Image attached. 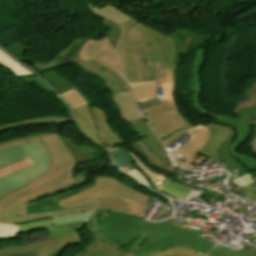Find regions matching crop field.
I'll return each mask as SVG.
<instances>
[{"mask_svg": "<svg viewBox=\"0 0 256 256\" xmlns=\"http://www.w3.org/2000/svg\"><path fill=\"white\" fill-rule=\"evenodd\" d=\"M174 220L150 223L135 215L96 210L99 234L118 246L136 239L128 251L135 256H144L176 245L189 246L206 254L215 245L199 237L205 232L189 229V225L178 226L173 223Z\"/></svg>", "mask_w": 256, "mask_h": 256, "instance_id": "obj_1", "label": "crop field"}, {"mask_svg": "<svg viewBox=\"0 0 256 256\" xmlns=\"http://www.w3.org/2000/svg\"><path fill=\"white\" fill-rule=\"evenodd\" d=\"M175 68L176 65L158 63L157 82L158 86L164 87V97L139 104L165 147L177 139L180 140L186 133L185 130L191 127L178 112L173 97Z\"/></svg>", "mask_w": 256, "mask_h": 256, "instance_id": "obj_2", "label": "crop field"}, {"mask_svg": "<svg viewBox=\"0 0 256 256\" xmlns=\"http://www.w3.org/2000/svg\"><path fill=\"white\" fill-rule=\"evenodd\" d=\"M29 158L34 164L0 178V198L6 193L27 185L45 173L50 155L41 141L29 142L0 150V169ZM46 167V168H44Z\"/></svg>", "mask_w": 256, "mask_h": 256, "instance_id": "obj_3", "label": "crop field"}, {"mask_svg": "<svg viewBox=\"0 0 256 256\" xmlns=\"http://www.w3.org/2000/svg\"><path fill=\"white\" fill-rule=\"evenodd\" d=\"M50 152L52 162L48 171L38 179L29 182L34 194L63 184L74 177L73 171L77 165L71 153L59 138L42 141Z\"/></svg>", "mask_w": 256, "mask_h": 256, "instance_id": "obj_4", "label": "crop field"}, {"mask_svg": "<svg viewBox=\"0 0 256 256\" xmlns=\"http://www.w3.org/2000/svg\"><path fill=\"white\" fill-rule=\"evenodd\" d=\"M104 196L130 198L146 204L148 196L137 192L115 178L106 176L95 177V185L87 190L78 192L71 197L57 201L58 206L71 208L96 202Z\"/></svg>", "mask_w": 256, "mask_h": 256, "instance_id": "obj_5", "label": "crop field"}, {"mask_svg": "<svg viewBox=\"0 0 256 256\" xmlns=\"http://www.w3.org/2000/svg\"><path fill=\"white\" fill-rule=\"evenodd\" d=\"M89 107L87 105L73 109L75 121L84 133L107 150L117 144L125 146L122 138L109 125L108 114L98 106L92 107L90 110Z\"/></svg>", "mask_w": 256, "mask_h": 256, "instance_id": "obj_6", "label": "crop field"}, {"mask_svg": "<svg viewBox=\"0 0 256 256\" xmlns=\"http://www.w3.org/2000/svg\"><path fill=\"white\" fill-rule=\"evenodd\" d=\"M107 167H115L112 163L109 164H105L102 166H98L95 168H92L86 172H83L81 174L76 175L73 179H71L70 181H68L67 183L63 184V185H58L56 187H53L51 189H48L46 191H43L41 193L36 194V196L31 197L29 199L23 200L21 202H19L18 204H16L15 206H13L11 209H9L8 211L2 213L8 217H18V216H23V215H30V214H36V213H42V212H48V211H54V210H60V209H66V208H61L58 207L57 204L55 203L54 199L60 200L62 198L68 197L78 191L84 190L92 185H94V183L92 185L86 186L84 188H80V189H76L74 191L65 193V194H61V195H57V196H53L50 197L42 202H35V199L40 198L41 196L44 195H48L51 193H55L61 190H65L68 189L72 186L78 185L80 183H83L86 179H87V174L91 171L94 170H103Z\"/></svg>", "mask_w": 256, "mask_h": 256, "instance_id": "obj_7", "label": "crop field"}, {"mask_svg": "<svg viewBox=\"0 0 256 256\" xmlns=\"http://www.w3.org/2000/svg\"><path fill=\"white\" fill-rule=\"evenodd\" d=\"M122 26V38L117 49L119 64L128 82L142 81L140 57L134 43L148 29L145 25L130 19Z\"/></svg>", "mask_w": 256, "mask_h": 256, "instance_id": "obj_8", "label": "crop field"}, {"mask_svg": "<svg viewBox=\"0 0 256 256\" xmlns=\"http://www.w3.org/2000/svg\"><path fill=\"white\" fill-rule=\"evenodd\" d=\"M54 225L86 220L91 228L95 242L77 253L75 256H106L119 247L105 237L98 234L95 229V204L86 207L70 209L66 211L51 213Z\"/></svg>", "mask_w": 256, "mask_h": 256, "instance_id": "obj_9", "label": "crop field"}, {"mask_svg": "<svg viewBox=\"0 0 256 256\" xmlns=\"http://www.w3.org/2000/svg\"><path fill=\"white\" fill-rule=\"evenodd\" d=\"M89 38H79L69 44L63 51L57 56L61 57V65L78 62L80 66L86 71L99 76L104 80L108 89L112 92H123L129 90L126 83L113 71L93 62H82L77 59V52L81 44Z\"/></svg>", "mask_w": 256, "mask_h": 256, "instance_id": "obj_10", "label": "crop field"}, {"mask_svg": "<svg viewBox=\"0 0 256 256\" xmlns=\"http://www.w3.org/2000/svg\"><path fill=\"white\" fill-rule=\"evenodd\" d=\"M130 123H132L134 128L139 133L142 141H139L137 143L147 155L142 152V150L136 145V143H133L132 145L148 159L149 163L159 168L168 163L169 159L166 157L162 147L160 146L153 132L150 130L146 121L140 118ZM162 162H164V164H162Z\"/></svg>", "mask_w": 256, "mask_h": 256, "instance_id": "obj_11", "label": "crop field"}, {"mask_svg": "<svg viewBox=\"0 0 256 256\" xmlns=\"http://www.w3.org/2000/svg\"><path fill=\"white\" fill-rule=\"evenodd\" d=\"M69 243H83L77 232L51 241L34 244L22 248L0 249V256L18 255L27 252H39L40 256H58Z\"/></svg>", "mask_w": 256, "mask_h": 256, "instance_id": "obj_12", "label": "crop field"}, {"mask_svg": "<svg viewBox=\"0 0 256 256\" xmlns=\"http://www.w3.org/2000/svg\"><path fill=\"white\" fill-rule=\"evenodd\" d=\"M140 39L149 51V60L171 64L174 48L171 38L150 27Z\"/></svg>", "mask_w": 256, "mask_h": 256, "instance_id": "obj_13", "label": "crop field"}, {"mask_svg": "<svg viewBox=\"0 0 256 256\" xmlns=\"http://www.w3.org/2000/svg\"><path fill=\"white\" fill-rule=\"evenodd\" d=\"M190 134V139L177 151L188 160L179 164V166L187 167L195 159L201 148L206 143L211 131L205 125L204 127L196 124L192 128L186 130Z\"/></svg>", "mask_w": 256, "mask_h": 256, "instance_id": "obj_14", "label": "crop field"}, {"mask_svg": "<svg viewBox=\"0 0 256 256\" xmlns=\"http://www.w3.org/2000/svg\"><path fill=\"white\" fill-rule=\"evenodd\" d=\"M113 50L114 48L109 43L106 36L105 39L91 45L88 49L87 55L89 56L90 60H93L113 70L124 80L114 59Z\"/></svg>", "mask_w": 256, "mask_h": 256, "instance_id": "obj_15", "label": "crop field"}, {"mask_svg": "<svg viewBox=\"0 0 256 256\" xmlns=\"http://www.w3.org/2000/svg\"><path fill=\"white\" fill-rule=\"evenodd\" d=\"M209 128L212 130V133L199 154L204 157H210L211 162L208 164L209 166L214 164L215 162L222 161L219 155L217 154V146L225 139H227L228 135L232 131L230 128L208 124Z\"/></svg>", "mask_w": 256, "mask_h": 256, "instance_id": "obj_16", "label": "crop field"}, {"mask_svg": "<svg viewBox=\"0 0 256 256\" xmlns=\"http://www.w3.org/2000/svg\"><path fill=\"white\" fill-rule=\"evenodd\" d=\"M244 95L248 98L234 106L232 110L234 113L244 116L249 125H256V78Z\"/></svg>", "mask_w": 256, "mask_h": 256, "instance_id": "obj_17", "label": "crop field"}, {"mask_svg": "<svg viewBox=\"0 0 256 256\" xmlns=\"http://www.w3.org/2000/svg\"><path fill=\"white\" fill-rule=\"evenodd\" d=\"M237 135V131L233 130L229 136V138L225 141H223L219 146H218V154L224 160L226 169L227 171H236L237 169L242 172V174L248 173L246 167L242 165L240 162L237 160L233 159L230 154V145L234 141L235 137Z\"/></svg>", "mask_w": 256, "mask_h": 256, "instance_id": "obj_18", "label": "crop field"}, {"mask_svg": "<svg viewBox=\"0 0 256 256\" xmlns=\"http://www.w3.org/2000/svg\"><path fill=\"white\" fill-rule=\"evenodd\" d=\"M60 139L68 148V150L72 153L74 159H76L78 164L84 161H89L94 158L102 157V154L98 151L92 150L80 144H76L67 138L60 137Z\"/></svg>", "mask_w": 256, "mask_h": 256, "instance_id": "obj_19", "label": "crop field"}, {"mask_svg": "<svg viewBox=\"0 0 256 256\" xmlns=\"http://www.w3.org/2000/svg\"><path fill=\"white\" fill-rule=\"evenodd\" d=\"M203 62H204V50H198L196 53V56H195L194 63H193L194 68L191 73L192 82H193L192 90L195 92V93H193V102L196 106V109L201 108V109L205 110L199 101V97H200L201 91H202L199 73H200L201 65ZM209 113H211V112H209ZM211 114H213V113H211ZM213 115H215V114H213ZM215 116L218 117L217 115H215Z\"/></svg>", "mask_w": 256, "mask_h": 256, "instance_id": "obj_20", "label": "crop field"}, {"mask_svg": "<svg viewBox=\"0 0 256 256\" xmlns=\"http://www.w3.org/2000/svg\"><path fill=\"white\" fill-rule=\"evenodd\" d=\"M168 36L171 37L175 42L172 64H177L179 53L187 52L188 46H189L190 41H191L192 38L201 37L198 34H194V33L188 32V31H184V30H181L179 28L176 32H174V33H172Z\"/></svg>", "mask_w": 256, "mask_h": 256, "instance_id": "obj_21", "label": "crop field"}, {"mask_svg": "<svg viewBox=\"0 0 256 256\" xmlns=\"http://www.w3.org/2000/svg\"><path fill=\"white\" fill-rule=\"evenodd\" d=\"M217 120L223 123L232 124L238 129V136L233 142V145L231 146V150L237 149L248 137L250 126L248 125L249 123L247 124V122L243 117L238 116L234 119H231L227 115H222Z\"/></svg>", "mask_w": 256, "mask_h": 256, "instance_id": "obj_22", "label": "crop field"}, {"mask_svg": "<svg viewBox=\"0 0 256 256\" xmlns=\"http://www.w3.org/2000/svg\"><path fill=\"white\" fill-rule=\"evenodd\" d=\"M42 75L48 79V81L58 90L60 94L75 87L78 90V92L83 96V98L87 101V103L91 105L92 101L86 96V94L81 89H79L73 83L64 79L58 73L50 70L46 73H43Z\"/></svg>", "mask_w": 256, "mask_h": 256, "instance_id": "obj_23", "label": "crop field"}, {"mask_svg": "<svg viewBox=\"0 0 256 256\" xmlns=\"http://www.w3.org/2000/svg\"><path fill=\"white\" fill-rule=\"evenodd\" d=\"M135 44L140 52L143 81L155 80L156 62L148 61V52L140 40Z\"/></svg>", "mask_w": 256, "mask_h": 256, "instance_id": "obj_24", "label": "crop field"}, {"mask_svg": "<svg viewBox=\"0 0 256 256\" xmlns=\"http://www.w3.org/2000/svg\"><path fill=\"white\" fill-rule=\"evenodd\" d=\"M31 196H34V194L29 188V186L9 193L0 200V212L2 213L8 210L19 201Z\"/></svg>", "mask_w": 256, "mask_h": 256, "instance_id": "obj_25", "label": "crop field"}, {"mask_svg": "<svg viewBox=\"0 0 256 256\" xmlns=\"http://www.w3.org/2000/svg\"><path fill=\"white\" fill-rule=\"evenodd\" d=\"M131 89L134 92L138 102H143L149 99L156 98L155 81L135 82L132 83Z\"/></svg>", "mask_w": 256, "mask_h": 256, "instance_id": "obj_26", "label": "crop field"}, {"mask_svg": "<svg viewBox=\"0 0 256 256\" xmlns=\"http://www.w3.org/2000/svg\"><path fill=\"white\" fill-rule=\"evenodd\" d=\"M231 181L232 185L237 184L247 196L250 195L252 197L250 203L256 201V180L250 175V173L245 176L235 178Z\"/></svg>", "mask_w": 256, "mask_h": 256, "instance_id": "obj_27", "label": "crop field"}, {"mask_svg": "<svg viewBox=\"0 0 256 256\" xmlns=\"http://www.w3.org/2000/svg\"><path fill=\"white\" fill-rule=\"evenodd\" d=\"M0 64L4 67L11 69L15 72L16 76L26 77V76H33L34 74L19 64L17 61L12 59L10 56L6 55V53L0 50Z\"/></svg>", "mask_w": 256, "mask_h": 256, "instance_id": "obj_28", "label": "crop field"}, {"mask_svg": "<svg viewBox=\"0 0 256 256\" xmlns=\"http://www.w3.org/2000/svg\"><path fill=\"white\" fill-rule=\"evenodd\" d=\"M96 209H110L131 214L127 203L123 202L120 198L115 197L103 198L96 203Z\"/></svg>", "mask_w": 256, "mask_h": 256, "instance_id": "obj_29", "label": "crop field"}, {"mask_svg": "<svg viewBox=\"0 0 256 256\" xmlns=\"http://www.w3.org/2000/svg\"><path fill=\"white\" fill-rule=\"evenodd\" d=\"M85 221H80V222H75V223H70V224H64L60 226H54L53 224L49 226L47 229L49 230V235L50 239L73 233L75 232L78 228H80Z\"/></svg>", "mask_w": 256, "mask_h": 256, "instance_id": "obj_30", "label": "crop field"}, {"mask_svg": "<svg viewBox=\"0 0 256 256\" xmlns=\"http://www.w3.org/2000/svg\"><path fill=\"white\" fill-rule=\"evenodd\" d=\"M96 12L110 19L115 20L120 24H123L125 21L130 19L129 16L125 15L124 13H122L115 7L111 6L110 4L96 10Z\"/></svg>", "mask_w": 256, "mask_h": 256, "instance_id": "obj_31", "label": "crop field"}, {"mask_svg": "<svg viewBox=\"0 0 256 256\" xmlns=\"http://www.w3.org/2000/svg\"><path fill=\"white\" fill-rule=\"evenodd\" d=\"M210 254H214V255H218V256H256V249L253 248L249 252L242 248L241 250L236 252L228 247L224 248V247L218 245L210 252Z\"/></svg>", "mask_w": 256, "mask_h": 256, "instance_id": "obj_32", "label": "crop field"}, {"mask_svg": "<svg viewBox=\"0 0 256 256\" xmlns=\"http://www.w3.org/2000/svg\"><path fill=\"white\" fill-rule=\"evenodd\" d=\"M69 121H73L72 118H66V117L37 118V119H33V120H28V121H23V122H16V123H13V124L0 126V131L8 129V128L15 127V126H19V125H24V124L42 123V122L60 123V122H69Z\"/></svg>", "mask_w": 256, "mask_h": 256, "instance_id": "obj_33", "label": "crop field"}, {"mask_svg": "<svg viewBox=\"0 0 256 256\" xmlns=\"http://www.w3.org/2000/svg\"><path fill=\"white\" fill-rule=\"evenodd\" d=\"M52 223H53L52 218H49V219L35 221L31 223L18 224V229H19V233L22 234V233L45 229Z\"/></svg>", "mask_w": 256, "mask_h": 256, "instance_id": "obj_34", "label": "crop field"}, {"mask_svg": "<svg viewBox=\"0 0 256 256\" xmlns=\"http://www.w3.org/2000/svg\"><path fill=\"white\" fill-rule=\"evenodd\" d=\"M62 96L71 105L72 108L87 104L75 88L62 94Z\"/></svg>", "mask_w": 256, "mask_h": 256, "instance_id": "obj_35", "label": "crop field"}, {"mask_svg": "<svg viewBox=\"0 0 256 256\" xmlns=\"http://www.w3.org/2000/svg\"><path fill=\"white\" fill-rule=\"evenodd\" d=\"M48 217H52L50 213L31 215V216H27V217L19 218V219L5 218V217H2L0 214V222L16 224V223H24V222H30V221H34V220L44 219V218H48Z\"/></svg>", "mask_w": 256, "mask_h": 256, "instance_id": "obj_36", "label": "crop field"}, {"mask_svg": "<svg viewBox=\"0 0 256 256\" xmlns=\"http://www.w3.org/2000/svg\"><path fill=\"white\" fill-rule=\"evenodd\" d=\"M19 235L17 225L0 223V240L12 238Z\"/></svg>", "mask_w": 256, "mask_h": 256, "instance_id": "obj_37", "label": "crop field"}, {"mask_svg": "<svg viewBox=\"0 0 256 256\" xmlns=\"http://www.w3.org/2000/svg\"><path fill=\"white\" fill-rule=\"evenodd\" d=\"M120 94H121V97H122L128 111L133 116V118L134 119L140 118L141 116L139 115L138 111L136 110L134 100H133L130 92L127 91V92H123V93H120Z\"/></svg>", "mask_w": 256, "mask_h": 256, "instance_id": "obj_38", "label": "crop field"}, {"mask_svg": "<svg viewBox=\"0 0 256 256\" xmlns=\"http://www.w3.org/2000/svg\"><path fill=\"white\" fill-rule=\"evenodd\" d=\"M230 154L233 158L238 159L242 164H244L249 171L256 168V159L253 157L237 153L236 150L231 151Z\"/></svg>", "mask_w": 256, "mask_h": 256, "instance_id": "obj_39", "label": "crop field"}, {"mask_svg": "<svg viewBox=\"0 0 256 256\" xmlns=\"http://www.w3.org/2000/svg\"><path fill=\"white\" fill-rule=\"evenodd\" d=\"M114 23L109 20H106V19L103 20V25L110 26L112 28L108 32V38H109L111 44L113 45V47H115V44H116L119 34H120L119 25L114 24Z\"/></svg>", "mask_w": 256, "mask_h": 256, "instance_id": "obj_40", "label": "crop field"}, {"mask_svg": "<svg viewBox=\"0 0 256 256\" xmlns=\"http://www.w3.org/2000/svg\"><path fill=\"white\" fill-rule=\"evenodd\" d=\"M112 101L117 104L120 109V113L123 119L127 120L128 122L134 120L132 116L127 111L119 93L112 94Z\"/></svg>", "mask_w": 256, "mask_h": 256, "instance_id": "obj_41", "label": "crop field"}, {"mask_svg": "<svg viewBox=\"0 0 256 256\" xmlns=\"http://www.w3.org/2000/svg\"><path fill=\"white\" fill-rule=\"evenodd\" d=\"M169 256H204L186 247H172Z\"/></svg>", "mask_w": 256, "mask_h": 256, "instance_id": "obj_42", "label": "crop field"}, {"mask_svg": "<svg viewBox=\"0 0 256 256\" xmlns=\"http://www.w3.org/2000/svg\"><path fill=\"white\" fill-rule=\"evenodd\" d=\"M57 136H59V135H56V134H44V135H40V136L23 138V139L11 141V142L2 143V144H0V149L1 148H5V147H9V146H12V145L24 143V142H27V141H31V140L43 139V138H49V137H57Z\"/></svg>", "mask_w": 256, "mask_h": 256, "instance_id": "obj_43", "label": "crop field"}, {"mask_svg": "<svg viewBox=\"0 0 256 256\" xmlns=\"http://www.w3.org/2000/svg\"><path fill=\"white\" fill-rule=\"evenodd\" d=\"M60 63V58L57 56L50 62L46 64H35L33 63V66L36 70H38L40 73L46 72L52 68L58 67Z\"/></svg>", "mask_w": 256, "mask_h": 256, "instance_id": "obj_44", "label": "crop field"}, {"mask_svg": "<svg viewBox=\"0 0 256 256\" xmlns=\"http://www.w3.org/2000/svg\"><path fill=\"white\" fill-rule=\"evenodd\" d=\"M122 200L128 203L132 214L142 217L143 206L141 204H139L135 201H132V200H128V199H122Z\"/></svg>", "mask_w": 256, "mask_h": 256, "instance_id": "obj_45", "label": "crop field"}, {"mask_svg": "<svg viewBox=\"0 0 256 256\" xmlns=\"http://www.w3.org/2000/svg\"><path fill=\"white\" fill-rule=\"evenodd\" d=\"M132 178H134L136 181L151 187L149 180L146 178V176L142 175L137 171V169H134L132 171L127 172ZM152 188V187H151Z\"/></svg>", "mask_w": 256, "mask_h": 256, "instance_id": "obj_46", "label": "crop field"}, {"mask_svg": "<svg viewBox=\"0 0 256 256\" xmlns=\"http://www.w3.org/2000/svg\"><path fill=\"white\" fill-rule=\"evenodd\" d=\"M29 164H32V162L29 159H27V160L22 161V162L14 165V166L8 167V168L3 169V170H0V176H3L5 174H8V173L13 172L15 170H18L22 167H25V166L29 165Z\"/></svg>", "mask_w": 256, "mask_h": 256, "instance_id": "obj_47", "label": "crop field"}, {"mask_svg": "<svg viewBox=\"0 0 256 256\" xmlns=\"http://www.w3.org/2000/svg\"><path fill=\"white\" fill-rule=\"evenodd\" d=\"M101 40V39H100ZM99 41V40H98ZM96 42V40H94L93 38L87 40L85 43H83L79 53H78V58L82 61H87L89 60L87 55H86V52H87V48L90 44Z\"/></svg>", "mask_w": 256, "mask_h": 256, "instance_id": "obj_48", "label": "crop field"}, {"mask_svg": "<svg viewBox=\"0 0 256 256\" xmlns=\"http://www.w3.org/2000/svg\"><path fill=\"white\" fill-rule=\"evenodd\" d=\"M22 80L27 81V82H31V83L41 87L42 89L48 91V92H52L48 88V86L38 76L26 77V78H22Z\"/></svg>", "mask_w": 256, "mask_h": 256, "instance_id": "obj_49", "label": "crop field"}, {"mask_svg": "<svg viewBox=\"0 0 256 256\" xmlns=\"http://www.w3.org/2000/svg\"><path fill=\"white\" fill-rule=\"evenodd\" d=\"M169 250H170V248H168V249H166V250H164V251H162V252H158V251H157V252H154V253L149 254V255H147V256H168ZM108 256H133V255H131V254L127 253V252L122 253L121 251L119 252V251L117 250V251L113 252L112 254H110V255H108Z\"/></svg>", "mask_w": 256, "mask_h": 256, "instance_id": "obj_50", "label": "crop field"}, {"mask_svg": "<svg viewBox=\"0 0 256 256\" xmlns=\"http://www.w3.org/2000/svg\"><path fill=\"white\" fill-rule=\"evenodd\" d=\"M131 154V156L134 158V160L136 161V163L143 169L145 170L152 179L158 177V175H156L153 171L147 169L131 152H129Z\"/></svg>", "mask_w": 256, "mask_h": 256, "instance_id": "obj_51", "label": "crop field"}, {"mask_svg": "<svg viewBox=\"0 0 256 256\" xmlns=\"http://www.w3.org/2000/svg\"><path fill=\"white\" fill-rule=\"evenodd\" d=\"M207 159L202 157L201 155L198 154V156L196 157L195 161H193V163L196 164L197 167H199L202 163H204Z\"/></svg>", "mask_w": 256, "mask_h": 256, "instance_id": "obj_52", "label": "crop field"}, {"mask_svg": "<svg viewBox=\"0 0 256 256\" xmlns=\"http://www.w3.org/2000/svg\"><path fill=\"white\" fill-rule=\"evenodd\" d=\"M161 169H163V170H165V171H167V172H169V173H173V174H175L176 172L175 171H172V170H169L168 169V166H163V167H161Z\"/></svg>", "mask_w": 256, "mask_h": 256, "instance_id": "obj_53", "label": "crop field"}, {"mask_svg": "<svg viewBox=\"0 0 256 256\" xmlns=\"http://www.w3.org/2000/svg\"><path fill=\"white\" fill-rule=\"evenodd\" d=\"M18 256H39V253H27V254L18 255Z\"/></svg>", "mask_w": 256, "mask_h": 256, "instance_id": "obj_54", "label": "crop field"}, {"mask_svg": "<svg viewBox=\"0 0 256 256\" xmlns=\"http://www.w3.org/2000/svg\"><path fill=\"white\" fill-rule=\"evenodd\" d=\"M251 146V145H250ZM251 150H253L254 152H256V139L255 141L253 142L252 146L250 147Z\"/></svg>", "mask_w": 256, "mask_h": 256, "instance_id": "obj_55", "label": "crop field"}, {"mask_svg": "<svg viewBox=\"0 0 256 256\" xmlns=\"http://www.w3.org/2000/svg\"><path fill=\"white\" fill-rule=\"evenodd\" d=\"M236 240H238V241H243L244 239L243 238H241V237H238V238H235Z\"/></svg>", "mask_w": 256, "mask_h": 256, "instance_id": "obj_56", "label": "crop field"}, {"mask_svg": "<svg viewBox=\"0 0 256 256\" xmlns=\"http://www.w3.org/2000/svg\"><path fill=\"white\" fill-rule=\"evenodd\" d=\"M208 256H214V255H210V254H208Z\"/></svg>", "mask_w": 256, "mask_h": 256, "instance_id": "obj_57", "label": "crop field"}]
</instances>
